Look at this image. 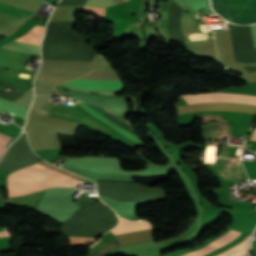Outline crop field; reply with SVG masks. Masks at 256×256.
<instances>
[{
	"label": "crop field",
	"mask_w": 256,
	"mask_h": 256,
	"mask_svg": "<svg viewBox=\"0 0 256 256\" xmlns=\"http://www.w3.org/2000/svg\"><path fill=\"white\" fill-rule=\"evenodd\" d=\"M213 9L229 21L240 24L256 23V0L228 6L227 0H211Z\"/></svg>",
	"instance_id": "obj_1"
},
{
	"label": "crop field",
	"mask_w": 256,
	"mask_h": 256,
	"mask_svg": "<svg viewBox=\"0 0 256 256\" xmlns=\"http://www.w3.org/2000/svg\"><path fill=\"white\" fill-rule=\"evenodd\" d=\"M83 78L120 79L115 70H93ZM71 82L95 83V84H122L121 80L76 79ZM81 83H66L71 86L90 89H122L123 85H95Z\"/></svg>",
	"instance_id": "obj_2"
},
{
	"label": "crop field",
	"mask_w": 256,
	"mask_h": 256,
	"mask_svg": "<svg viewBox=\"0 0 256 256\" xmlns=\"http://www.w3.org/2000/svg\"><path fill=\"white\" fill-rule=\"evenodd\" d=\"M183 98L187 104L196 102H242L256 105V96L242 95V94H227V93H214L205 95H184Z\"/></svg>",
	"instance_id": "obj_3"
},
{
	"label": "crop field",
	"mask_w": 256,
	"mask_h": 256,
	"mask_svg": "<svg viewBox=\"0 0 256 256\" xmlns=\"http://www.w3.org/2000/svg\"><path fill=\"white\" fill-rule=\"evenodd\" d=\"M25 55H32L0 48V65H4L16 70H21ZM38 56V55H33Z\"/></svg>",
	"instance_id": "obj_4"
},
{
	"label": "crop field",
	"mask_w": 256,
	"mask_h": 256,
	"mask_svg": "<svg viewBox=\"0 0 256 256\" xmlns=\"http://www.w3.org/2000/svg\"><path fill=\"white\" fill-rule=\"evenodd\" d=\"M237 236H239V235L226 232L222 236H220L218 239H216L215 241H213V242H211V243H209V244H207L203 247H200V248L192 250L188 253H185L181 256H201V255H204L208 252H211L213 250H216V249L224 246L226 243L233 240Z\"/></svg>",
	"instance_id": "obj_5"
},
{
	"label": "crop field",
	"mask_w": 256,
	"mask_h": 256,
	"mask_svg": "<svg viewBox=\"0 0 256 256\" xmlns=\"http://www.w3.org/2000/svg\"><path fill=\"white\" fill-rule=\"evenodd\" d=\"M78 103V101H76ZM87 104V103H86ZM85 103L81 102L79 103V105L86 110L88 113H90L91 115L95 116L96 118H98L99 120H101L102 122H104L105 124H107L108 126H110L111 128H113L114 130L118 131L119 133H121L122 135L138 142L141 144V142L139 141L138 138H136L135 136L131 135L130 133H128L127 131L123 130L122 128H120L119 126L115 125L114 123H112L111 121L107 120L106 118H104L103 116L106 115L108 112H106L104 109L95 106V105H90L88 104L90 107H92L93 109H95L96 111H98L100 114H102L103 116H101L99 113H97L96 111H94L92 108H90L89 106H87Z\"/></svg>",
	"instance_id": "obj_6"
},
{
	"label": "crop field",
	"mask_w": 256,
	"mask_h": 256,
	"mask_svg": "<svg viewBox=\"0 0 256 256\" xmlns=\"http://www.w3.org/2000/svg\"><path fill=\"white\" fill-rule=\"evenodd\" d=\"M0 12L11 15V16H24L32 14L33 12L23 10L8 4H4L0 2ZM29 20L27 16L19 18L17 21L14 22L12 26H10L7 30L9 33H13L16 29H18L25 21Z\"/></svg>",
	"instance_id": "obj_7"
},
{
	"label": "crop field",
	"mask_w": 256,
	"mask_h": 256,
	"mask_svg": "<svg viewBox=\"0 0 256 256\" xmlns=\"http://www.w3.org/2000/svg\"><path fill=\"white\" fill-rule=\"evenodd\" d=\"M1 48H7V49H12V50H18V51H23V52H28V53H33V54H38L40 55L39 47L31 44H26V43H21V42H16L12 41L10 43H7Z\"/></svg>",
	"instance_id": "obj_8"
},
{
	"label": "crop field",
	"mask_w": 256,
	"mask_h": 256,
	"mask_svg": "<svg viewBox=\"0 0 256 256\" xmlns=\"http://www.w3.org/2000/svg\"><path fill=\"white\" fill-rule=\"evenodd\" d=\"M43 29H44V27L35 26L24 36L16 39V41L27 42V43H31V44H35V45L39 46Z\"/></svg>",
	"instance_id": "obj_9"
},
{
	"label": "crop field",
	"mask_w": 256,
	"mask_h": 256,
	"mask_svg": "<svg viewBox=\"0 0 256 256\" xmlns=\"http://www.w3.org/2000/svg\"><path fill=\"white\" fill-rule=\"evenodd\" d=\"M4 109L10 111L11 113H13L23 119H25L26 113L28 111L27 109H25L23 107H20L14 103H11L5 99L0 98V113H2V111Z\"/></svg>",
	"instance_id": "obj_10"
},
{
	"label": "crop field",
	"mask_w": 256,
	"mask_h": 256,
	"mask_svg": "<svg viewBox=\"0 0 256 256\" xmlns=\"http://www.w3.org/2000/svg\"><path fill=\"white\" fill-rule=\"evenodd\" d=\"M116 4L114 0H87L85 6L107 8Z\"/></svg>",
	"instance_id": "obj_11"
},
{
	"label": "crop field",
	"mask_w": 256,
	"mask_h": 256,
	"mask_svg": "<svg viewBox=\"0 0 256 256\" xmlns=\"http://www.w3.org/2000/svg\"><path fill=\"white\" fill-rule=\"evenodd\" d=\"M10 139H11V137L3 135V134L0 133V143H3V144L6 145L9 142ZM4 147H5L4 145L0 144V153L2 152ZM4 151H5V149H4ZM2 153H1V155H2Z\"/></svg>",
	"instance_id": "obj_12"
},
{
	"label": "crop field",
	"mask_w": 256,
	"mask_h": 256,
	"mask_svg": "<svg viewBox=\"0 0 256 256\" xmlns=\"http://www.w3.org/2000/svg\"><path fill=\"white\" fill-rule=\"evenodd\" d=\"M253 27V33H254V39H255V45H256V24L252 25Z\"/></svg>",
	"instance_id": "obj_13"
},
{
	"label": "crop field",
	"mask_w": 256,
	"mask_h": 256,
	"mask_svg": "<svg viewBox=\"0 0 256 256\" xmlns=\"http://www.w3.org/2000/svg\"><path fill=\"white\" fill-rule=\"evenodd\" d=\"M45 1H47L48 3H50L52 5H55L58 0H45Z\"/></svg>",
	"instance_id": "obj_14"
},
{
	"label": "crop field",
	"mask_w": 256,
	"mask_h": 256,
	"mask_svg": "<svg viewBox=\"0 0 256 256\" xmlns=\"http://www.w3.org/2000/svg\"><path fill=\"white\" fill-rule=\"evenodd\" d=\"M251 140H256V128H255V131L253 132V135L251 137Z\"/></svg>",
	"instance_id": "obj_15"
},
{
	"label": "crop field",
	"mask_w": 256,
	"mask_h": 256,
	"mask_svg": "<svg viewBox=\"0 0 256 256\" xmlns=\"http://www.w3.org/2000/svg\"><path fill=\"white\" fill-rule=\"evenodd\" d=\"M5 236H9L6 232L5 233H0V237H5Z\"/></svg>",
	"instance_id": "obj_16"
},
{
	"label": "crop field",
	"mask_w": 256,
	"mask_h": 256,
	"mask_svg": "<svg viewBox=\"0 0 256 256\" xmlns=\"http://www.w3.org/2000/svg\"><path fill=\"white\" fill-rule=\"evenodd\" d=\"M104 204V203H103ZM105 205V204H104ZM106 206V205H105ZM107 207V206H106ZM108 208V207H107ZM109 209V208H108Z\"/></svg>",
	"instance_id": "obj_17"
},
{
	"label": "crop field",
	"mask_w": 256,
	"mask_h": 256,
	"mask_svg": "<svg viewBox=\"0 0 256 256\" xmlns=\"http://www.w3.org/2000/svg\"><path fill=\"white\" fill-rule=\"evenodd\" d=\"M126 1V0H125Z\"/></svg>",
	"instance_id": "obj_18"
}]
</instances>
